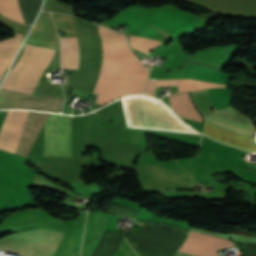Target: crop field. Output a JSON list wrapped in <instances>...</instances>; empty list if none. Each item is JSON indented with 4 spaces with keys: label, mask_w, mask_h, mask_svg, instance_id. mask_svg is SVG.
Returning <instances> with one entry per match:
<instances>
[{
    "label": "crop field",
    "mask_w": 256,
    "mask_h": 256,
    "mask_svg": "<svg viewBox=\"0 0 256 256\" xmlns=\"http://www.w3.org/2000/svg\"><path fill=\"white\" fill-rule=\"evenodd\" d=\"M102 45L101 72L94 89L99 93L96 101L103 105L125 95L142 94L149 74L143 64L129 47L103 41Z\"/></svg>",
    "instance_id": "crop-field-1"
},
{
    "label": "crop field",
    "mask_w": 256,
    "mask_h": 256,
    "mask_svg": "<svg viewBox=\"0 0 256 256\" xmlns=\"http://www.w3.org/2000/svg\"><path fill=\"white\" fill-rule=\"evenodd\" d=\"M190 94L201 114L253 126L250 123L248 118L240 115L231 107L216 110L207 90L192 92ZM209 107H212L215 111L213 112L209 111ZM208 116H204L205 122H208L210 124L222 127L224 129L236 132L238 134H241L256 140V130L253 127L238 124V123H233V122H229L221 119H216ZM205 122L203 123L202 133L216 140H219L221 142L230 144L232 146L250 150V151H256L255 140H252L250 138L210 125Z\"/></svg>",
    "instance_id": "crop-field-2"
},
{
    "label": "crop field",
    "mask_w": 256,
    "mask_h": 256,
    "mask_svg": "<svg viewBox=\"0 0 256 256\" xmlns=\"http://www.w3.org/2000/svg\"><path fill=\"white\" fill-rule=\"evenodd\" d=\"M122 102L127 127L199 134L158 100L133 96Z\"/></svg>",
    "instance_id": "crop-field-3"
},
{
    "label": "crop field",
    "mask_w": 256,
    "mask_h": 256,
    "mask_svg": "<svg viewBox=\"0 0 256 256\" xmlns=\"http://www.w3.org/2000/svg\"><path fill=\"white\" fill-rule=\"evenodd\" d=\"M55 53V50L26 44L19 61L8 73L2 87L31 94Z\"/></svg>",
    "instance_id": "crop-field-4"
},
{
    "label": "crop field",
    "mask_w": 256,
    "mask_h": 256,
    "mask_svg": "<svg viewBox=\"0 0 256 256\" xmlns=\"http://www.w3.org/2000/svg\"><path fill=\"white\" fill-rule=\"evenodd\" d=\"M64 232L35 229L14 234L0 240V250L24 256H52Z\"/></svg>",
    "instance_id": "crop-field-5"
},
{
    "label": "crop field",
    "mask_w": 256,
    "mask_h": 256,
    "mask_svg": "<svg viewBox=\"0 0 256 256\" xmlns=\"http://www.w3.org/2000/svg\"><path fill=\"white\" fill-rule=\"evenodd\" d=\"M44 156L71 157V116L49 114L45 122Z\"/></svg>",
    "instance_id": "crop-field-6"
},
{
    "label": "crop field",
    "mask_w": 256,
    "mask_h": 256,
    "mask_svg": "<svg viewBox=\"0 0 256 256\" xmlns=\"http://www.w3.org/2000/svg\"><path fill=\"white\" fill-rule=\"evenodd\" d=\"M226 246L234 247L230 241L190 231L179 251L196 256H218L216 252Z\"/></svg>",
    "instance_id": "crop-field-7"
},
{
    "label": "crop field",
    "mask_w": 256,
    "mask_h": 256,
    "mask_svg": "<svg viewBox=\"0 0 256 256\" xmlns=\"http://www.w3.org/2000/svg\"><path fill=\"white\" fill-rule=\"evenodd\" d=\"M29 111L11 110L0 130V149L14 152Z\"/></svg>",
    "instance_id": "crop-field-8"
},
{
    "label": "crop field",
    "mask_w": 256,
    "mask_h": 256,
    "mask_svg": "<svg viewBox=\"0 0 256 256\" xmlns=\"http://www.w3.org/2000/svg\"><path fill=\"white\" fill-rule=\"evenodd\" d=\"M61 39L62 68L77 69L79 63V47L76 38Z\"/></svg>",
    "instance_id": "crop-field-9"
},
{
    "label": "crop field",
    "mask_w": 256,
    "mask_h": 256,
    "mask_svg": "<svg viewBox=\"0 0 256 256\" xmlns=\"http://www.w3.org/2000/svg\"><path fill=\"white\" fill-rule=\"evenodd\" d=\"M157 86H178L179 92L197 91L201 89L214 88V87H226L223 84L183 79V80H159Z\"/></svg>",
    "instance_id": "crop-field-10"
},
{
    "label": "crop field",
    "mask_w": 256,
    "mask_h": 256,
    "mask_svg": "<svg viewBox=\"0 0 256 256\" xmlns=\"http://www.w3.org/2000/svg\"><path fill=\"white\" fill-rule=\"evenodd\" d=\"M23 35L17 34L15 38L0 41V78L14 57Z\"/></svg>",
    "instance_id": "crop-field-11"
},
{
    "label": "crop field",
    "mask_w": 256,
    "mask_h": 256,
    "mask_svg": "<svg viewBox=\"0 0 256 256\" xmlns=\"http://www.w3.org/2000/svg\"><path fill=\"white\" fill-rule=\"evenodd\" d=\"M0 13L13 20L23 22L17 0H0Z\"/></svg>",
    "instance_id": "crop-field-12"
},
{
    "label": "crop field",
    "mask_w": 256,
    "mask_h": 256,
    "mask_svg": "<svg viewBox=\"0 0 256 256\" xmlns=\"http://www.w3.org/2000/svg\"><path fill=\"white\" fill-rule=\"evenodd\" d=\"M129 37H130L131 47L146 54L149 50L161 45L160 41H157V40H152V39L142 38V37H135V36H129Z\"/></svg>",
    "instance_id": "crop-field-13"
},
{
    "label": "crop field",
    "mask_w": 256,
    "mask_h": 256,
    "mask_svg": "<svg viewBox=\"0 0 256 256\" xmlns=\"http://www.w3.org/2000/svg\"><path fill=\"white\" fill-rule=\"evenodd\" d=\"M99 34H100L101 40L105 42L120 45V46H128L126 37L120 33L117 34L116 32H113L111 30H108L99 26Z\"/></svg>",
    "instance_id": "crop-field-14"
}]
</instances>
